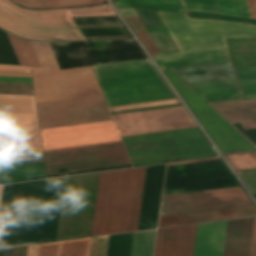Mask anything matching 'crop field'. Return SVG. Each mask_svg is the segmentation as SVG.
Listing matches in <instances>:
<instances>
[{
  "instance_id": "crop-field-11",
  "label": "crop field",
  "mask_w": 256,
  "mask_h": 256,
  "mask_svg": "<svg viewBox=\"0 0 256 256\" xmlns=\"http://www.w3.org/2000/svg\"><path fill=\"white\" fill-rule=\"evenodd\" d=\"M46 158L49 174L57 172V174L47 175V177L131 166L127 165L72 173H65L64 169H60L65 168L66 172H70L130 164L122 144L48 153L46 154ZM55 169L60 170H56L55 172Z\"/></svg>"
},
{
  "instance_id": "crop-field-45",
  "label": "crop field",
  "mask_w": 256,
  "mask_h": 256,
  "mask_svg": "<svg viewBox=\"0 0 256 256\" xmlns=\"http://www.w3.org/2000/svg\"><path fill=\"white\" fill-rule=\"evenodd\" d=\"M250 256H256V217H255V220H254Z\"/></svg>"
},
{
  "instance_id": "crop-field-4",
  "label": "crop field",
  "mask_w": 256,
  "mask_h": 256,
  "mask_svg": "<svg viewBox=\"0 0 256 256\" xmlns=\"http://www.w3.org/2000/svg\"><path fill=\"white\" fill-rule=\"evenodd\" d=\"M92 67L109 107L175 98L149 59Z\"/></svg>"
},
{
  "instance_id": "crop-field-7",
  "label": "crop field",
  "mask_w": 256,
  "mask_h": 256,
  "mask_svg": "<svg viewBox=\"0 0 256 256\" xmlns=\"http://www.w3.org/2000/svg\"><path fill=\"white\" fill-rule=\"evenodd\" d=\"M163 72L222 153L256 150L251 142L250 144L171 70Z\"/></svg>"
},
{
  "instance_id": "crop-field-48",
  "label": "crop field",
  "mask_w": 256,
  "mask_h": 256,
  "mask_svg": "<svg viewBox=\"0 0 256 256\" xmlns=\"http://www.w3.org/2000/svg\"><path fill=\"white\" fill-rule=\"evenodd\" d=\"M122 16H137L134 9H118Z\"/></svg>"
},
{
  "instance_id": "crop-field-35",
  "label": "crop field",
  "mask_w": 256,
  "mask_h": 256,
  "mask_svg": "<svg viewBox=\"0 0 256 256\" xmlns=\"http://www.w3.org/2000/svg\"><path fill=\"white\" fill-rule=\"evenodd\" d=\"M223 15L250 17L245 0H219Z\"/></svg>"
},
{
  "instance_id": "crop-field-44",
  "label": "crop field",
  "mask_w": 256,
  "mask_h": 256,
  "mask_svg": "<svg viewBox=\"0 0 256 256\" xmlns=\"http://www.w3.org/2000/svg\"><path fill=\"white\" fill-rule=\"evenodd\" d=\"M0 81L32 83L31 78H20V77H0Z\"/></svg>"
},
{
  "instance_id": "crop-field-21",
  "label": "crop field",
  "mask_w": 256,
  "mask_h": 256,
  "mask_svg": "<svg viewBox=\"0 0 256 256\" xmlns=\"http://www.w3.org/2000/svg\"><path fill=\"white\" fill-rule=\"evenodd\" d=\"M253 220L228 221L223 256H249Z\"/></svg>"
},
{
  "instance_id": "crop-field-16",
  "label": "crop field",
  "mask_w": 256,
  "mask_h": 256,
  "mask_svg": "<svg viewBox=\"0 0 256 256\" xmlns=\"http://www.w3.org/2000/svg\"><path fill=\"white\" fill-rule=\"evenodd\" d=\"M41 156L40 152L0 150V165L37 161L41 160ZM43 176H45L43 161L0 166V182Z\"/></svg>"
},
{
  "instance_id": "crop-field-20",
  "label": "crop field",
  "mask_w": 256,
  "mask_h": 256,
  "mask_svg": "<svg viewBox=\"0 0 256 256\" xmlns=\"http://www.w3.org/2000/svg\"><path fill=\"white\" fill-rule=\"evenodd\" d=\"M248 216H256L255 206L187 214V215H179V216H171V217H163V218H160L159 220L158 228L209 222V221H217V220H225V219H232V218H240V217H248Z\"/></svg>"
},
{
  "instance_id": "crop-field-32",
  "label": "crop field",
  "mask_w": 256,
  "mask_h": 256,
  "mask_svg": "<svg viewBox=\"0 0 256 256\" xmlns=\"http://www.w3.org/2000/svg\"><path fill=\"white\" fill-rule=\"evenodd\" d=\"M7 35L10 39V42L13 46V49L17 55L20 64L40 68L29 43L8 33Z\"/></svg>"
},
{
  "instance_id": "crop-field-24",
  "label": "crop field",
  "mask_w": 256,
  "mask_h": 256,
  "mask_svg": "<svg viewBox=\"0 0 256 256\" xmlns=\"http://www.w3.org/2000/svg\"><path fill=\"white\" fill-rule=\"evenodd\" d=\"M188 85L209 102L240 99L235 79Z\"/></svg>"
},
{
  "instance_id": "crop-field-37",
  "label": "crop field",
  "mask_w": 256,
  "mask_h": 256,
  "mask_svg": "<svg viewBox=\"0 0 256 256\" xmlns=\"http://www.w3.org/2000/svg\"><path fill=\"white\" fill-rule=\"evenodd\" d=\"M234 170L256 168V153L225 156Z\"/></svg>"
},
{
  "instance_id": "crop-field-33",
  "label": "crop field",
  "mask_w": 256,
  "mask_h": 256,
  "mask_svg": "<svg viewBox=\"0 0 256 256\" xmlns=\"http://www.w3.org/2000/svg\"><path fill=\"white\" fill-rule=\"evenodd\" d=\"M150 55L159 54L138 17H124Z\"/></svg>"
},
{
  "instance_id": "crop-field-5",
  "label": "crop field",
  "mask_w": 256,
  "mask_h": 256,
  "mask_svg": "<svg viewBox=\"0 0 256 256\" xmlns=\"http://www.w3.org/2000/svg\"><path fill=\"white\" fill-rule=\"evenodd\" d=\"M121 138L134 166L216 155L197 128Z\"/></svg>"
},
{
  "instance_id": "crop-field-22",
  "label": "crop field",
  "mask_w": 256,
  "mask_h": 256,
  "mask_svg": "<svg viewBox=\"0 0 256 256\" xmlns=\"http://www.w3.org/2000/svg\"><path fill=\"white\" fill-rule=\"evenodd\" d=\"M227 221L198 225L194 256H222Z\"/></svg>"
},
{
  "instance_id": "crop-field-6",
  "label": "crop field",
  "mask_w": 256,
  "mask_h": 256,
  "mask_svg": "<svg viewBox=\"0 0 256 256\" xmlns=\"http://www.w3.org/2000/svg\"><path fill=\"white\" fill-rule=\"evenodd\" d=\"M0 27L25 39L84 40L67 9L27 10L0 0Z\"/></svg>"
},
{
  "instance_id": "crop-field-46",
  "label": "crop field",
  "mask_w": 256,
  "mask_h": 256,
  "mask_svg": "<svg viewBox=\"0 0 256 256\" xmlns=\"http://www.w3.org/2000/svg\"><path fill=\"white\" fill-rule=\"evenodd\" d=\"M0 70L30 71V67H25V66H12V65H0Z\"/></svg>"
},
{
  "instance_id": "crop-field-17",
  "label": "crop field",
  "mask_w": 256,
  "mask_h": 256,
  "mask_svg": "<svg viewBox=\"0 0 256 256\" xmlns=\"http://www.w3.org/2000/svg\"><path fill=\"white\" fill-rule=\"evenodd\" d=\"M164 168L147 167L138 230L156 228Z\"/></svg>"
},
{
  "instance_id": "crop-field-23",
  "label": "crop field",
  "mask_w": 256,
  "mask_h": 256,
  "mask_svg": "<svg viewBox=\"0 0 256 256\" xmlns=\"http://www.w3.org/2000/svg\"><path fill=\"white\" fill-rule=\"evenodd\" d=\"M160 54L178 52L155 11L135 9Z\"/></svg>"
},
{
  "instance_id": "crop-field-15",
  "label": "crop field",
  "mask_w": 256,
  "mask_h": 256,
  "mask_svg": "<svg viewBox=\"0 0 256 256\" xmlns=\"http://www.w3.org/2000/svg\"><path fill=\"white\" fill-rule=\"evenodd\" d=\"M0 131L39 133L34 96L0 95Z\"/></svg>"
},
{
  "instance_id": "crop-field-18",
  "label": "crop field",
  "mask_w": 256,
  "mask_h": 256,
  "mask_svg": "<svg viewBox=\"0 0 256 256\" xmlns=\"http://www.w3.org/2000/svg\"><path fill=\"white\" fill-rule=\"evenodd\" d=\"M197 225L158 230L154 256H193Z\"/></svg>"
},
{
  "instance_id": "crop-field-31",
  "label": "crop field",
  "mask_w": 256,
  "mask_h": 256,
  "mask_svg": "<svg viewBox=\"0 0 256 256\" xmlns=\"http://www.w3.org/2000/svg\"><path fill=\"white\" fill-rule=\"evenodd\" d=\"M29 43L43 72L60 70L48 43Z\"/></svg>"
},
{
  "instance_id": "crop-field-49",
  "label": "crop field",
  "mask_w": 256,
  "mask_h": 256,
  "mask_svg": "<svg viewBox=\"0 0 256 256\" xmlns=\"http://www.w3.org/2000/svg\"><path fill=\"white\" fill-rule=\"evenodd\" d=\"M38 245L28 246L27 256H37Z\"/></svg>"
},
{
  "instance_id": "crop-field-36",
  "label": "crop field",
  "mask_w": 256,
  "mask_h": 256,
  "mask_svg": "<svg viewBox=\"0 0 256 256\" xmlns=\"http://www.w3.org/2000/svg\"><path fill=\"white\" fill-rule=\"evenodd\" d=\"M72 17L116 16L109 5L68 9Z\"/></svg>"
},
{
  "instance_id": "crop-field-13",
  "label": "crop field",
  "mask_w": 256,
  "mask_h": 256,
  "mask_svg": "<svg viewBox=\"0 0 256 256\" xmlns=\"http://www.w3.org/2000/svg\"><path fill=\"white\" fill-rule=\"evenodd\" d=\"M120 136L195 127L182 106L112 115Z\"/></svg>"
},
{
  "instance_id": "crop-field-53",
  "label": "crop field",
  "mask_w": 256,
  "mask_h": 256,
  "mask_svg": "<svg viewBox=\"0 0 256 256\" xmlns=\"http://www.w3.org/2000/svg\"><path fill=\"white\" fill-rule=\"evenodd\" d=\"M0 189H1V186H0Z\"/></svg>"
},
{
  "instance_id": "crop-field-47",
  "label": "crop field",
  "mask_w": 256,
  "mask_h": 256,
  "mask_svg": "<svg viewBox=\"0 0 256 256\" xmlns=\"http://www.w3.org/2000/svg\"><path fill=\"white\" fill-rule=\"evenodd\" d=\"M247 4L250 10L252 18H256V0H247Z\"/></svg>"
},
{
  "instance_id": "crop-field-30",
  "label": "crop field",
  "mask_w": 256,
  "mask_h": 256,
  "mask_svg": "<svg viewBox=\"0 0 256 256\" xmlns=\"http://www.w3.org/2000/svg\"><path fill=\"white\" fill-rule=\"evenodd\" d=\"M242 98H256V67L235 69Z\"/></svg>"
},
{
  "instance_id": "crop-field-43",
  "label": "crop field",
  "mask_w": 256,
  "mask_h": 256,
  "mask_svg": "<svg viewBox=\"0 0 256 256\" xmlns=\"http://www.w3.org/2000/svg\"><path fill=\"white\" fill-rule=\"evenodd\" d=\"M119 143H122V142L118 141V142H110V143H102V144H95V145L71 147V148H64V149L48 150V151H44V153L55 152V151H63V150H71V149H79V148H87V147H95V146H103V145H111V144H119Z\"/></svg>"
},
{
  "instance_id": "crop-field-34",
  "label": "crop field",
  "mask_w": 256,
  "mask_h": 256,
  "mask_svg": "<svg viewBox=\"0 0 256 256\" xmlns=\"http://www.w3.org/2000/svg\"><path fill=\"white\" fill-rule=\"evenodd\" d=\"M187 12L219 13L218 0H181Z\"/></svg>"
},
{
  "instance_id": "crop-field-27",
  "label": "crop field",
  "mask_w": 256,
  "mask_h": 256,
  "mask_svg": "<svg viewBox=\"0 0 256 256\" xmlns=\"http://www.w3.org/2000/svg\"><path fill=\"white\" fill-rule=\"evenodd\" d=\"M14 3L32 9L80 7L103 3L105 0H12Z\"/></svg>"
},
{
  "instance_id": "crop-field-52",
  "label": "crop field",
  "mask_w": 256,
  "mask_h": 256,
  "mask_svg": "<svg viewBox=\"0 0 256 256\" xmlns=\"http://www.w3.org/2000/svg\"><path fill=\"white\" fill-rule=\"evenodd\" d=\"M256 197V195H254Z\"/></svg>"
},
{
  "instance_id": "crop-field-2",
  "label": "crop field",
  "mask_w": 256,
  "mask_h": 256,
  "mask_svg": "<svg viewBox=\"0 0 256 256\" xmlns=\"http://www.w3.org/2000/svg\"><path fill=\"white\" fill-rule=\"evenodd\" d=\"M180 53L155 55L161 70L231 62L225 38L256 37V25L188 19L186 13L156 11Z\"/></svg>"
},
{
  "instance_id": "crop-field-25",
  "label": "crop field",
  "mask_w": 256,
  "mask_h": 256,
  "mask_svg": "<svg viewBox=\"0 0 256 256\" xmlns=\"http://www.w3.org/2000/svg\"><path fill=\"white\" fill-rule=\"evenodd\" d=\"M90 238L39 245L38 256H88Z\"/></svg>"
},
{
  "instance_id": "crop-field-50",
  "label": "crop field",
  "mask_w": 256,
  "mask_h": 256,
  "mask_svg": "<svg viewBox=\"0 0 256 256\" xmlns=\"http://www.w3.org/2000/svg\"><path fill=\"white\" fill-rule=\"evenodd\" d=\"M220 158H213V159H205V160H197V161H189V162H181V163H173V164H167V166L170 165H178V164H186V163H193V162H201V161H209V160H217Z\"/></svg>"
},
{
  "instance_id": "crop-field-1",
  "label": "crop field",
  "mask_w": 256,
  "mask_h": 256,
  "mask_svg": "<svg viewBox=\"0 0 256 256\" xmlns=\"http://www.w3.org/2000/svg\"><path fill=\"white\" fill-rule=\"evenodd\" d=\"M64 180L3 185L0 248L55 241Z\"/></svg>"
},
{
  "instance_id": "crop-field-10",
  "label": "crop field",
  "mask_w": 256,
  "mask_h": 256,
  "mask_svg": "<svg viewBox=\"0 0 256 256\" xmlns=\"http://www.w3.org/2000/svg\"><path fill=\"white\" fill-rule=\"evenodd\" d=\"M41 129L112 120L102 95L37 104Z\"/></svg>"
},
{
  "instance_id": "crop-field-3",
  "label": "crop field",
  "mask_w": 256,
  "mask_h": 256,
  "mask_svg": "<svg viewBox=\"0 0 256 256\" xmlns=\"http://www.w3.org/2000/svg\"><path fill=\"white\" fill-rule=\"evenodd\" d=\"M145 170L100 173L90 237L137 230Z\"/></svg>"
},
{
  "instance_id": "crop-field-8",
  "label": "crop field",
  "mask_w": 256,
  "mask_h": 256,
  "mask_svg": "<svg viewBox=\"0 0 256 256\" xmlns=\"http://www.w3.org/2000/svg\"><path fill=\"white\" fill-rule=\"evenodd\" d=\"M221 160L167 167L163 196L236 187Z\"/></svg>"
},
{
  "instance_id": "crop-field-42",
  "label": "crop field",
  "mask_w": 256,
  "mask_h": 256,
  "mask_svg": "<svg viewBox=\"0 0 256 256\" xmlns=\"http://www.w3.org/2000/svg\"><path fill=\"white\" fill-rule=\"evenodd\" d=\"M26 249H27V246L6 249L3 252V256H26Z\"/></svg>"
},
{
  "instance_id": "crop-field-38",
  "label": "crop field",
  "mask_w": 256,
  "mask_h": 256,
  "mask_svg": "<svg viewBox=\"0 0 256 256\" xmlns=\"http://www.w3.org/2000/svg\"><path fill=\"white\" fill-rule=\"evenodd\" d=\"M109 236L91 238L89 256H106Z\"/></svg>"
},
{
  "instance_id": "crop-field-14",
  "label": "crop field",
  "mask_w": 256,
  "mask_h": 256,
  "mask_svg": "<svg viewBox=\"0 0 256 256\" xmlns=\"http://www.w3.org/2000/svg\"><path fill=\"white\" fill-rule=\"evenodd\" d=\"M44 150L121 140L112 121L41 130Z\"/></svg>"
},
{
  "instance_id": "crop-field-51",
  "label": "crop field",
  "mask_w": 256,
  "mask_h": 256,
  "mask_svg": "<svg viewBox=\"0 0 256 256\" xmlns=\"http://www.w3.org/2000/svg\"><path fill=\"white\" fill-rule=\"evenodd\" d=\"M2 252H3V250H0V256H2Z\"/></svg>"
},
{
  "instance_id": "crop-field-40",
  "label": "crop field",
  "mask_w": 256,
  "mask_h": 256,
  "mask_svg": "<svg viewBox=\"0 0 256 256\" xmlns=\"http://www.w3.org/2000/svg\"><path fill=\"white\" fill-rule=\"evenodd\" d=\"M77 24L121 23L117 17L74 18Z\"/></svg>"
},
{
  "instance_id": "crop-field-19",
  "label": "crop field",
  "mask_w": 256,
  "mask_h": 256,
  "mask_svg": "<svg viewBox=\"0 0 256 256\" xmlns=\"http://www.w3.org/2000/svg\"><path fill=\"white\" fill-rule=\"evenodd\" d=\"M156 230L134 233L131 256H152ZM132 233L110 236L107 256H129Z\"/></svg>"
},
{
  "instance_id": "crop-field-41",
  "label": "crop field",
  "mask_w": 256,
  "mask_h": 256,
  "mask_svg": "<svg viewBox=\"0 0 256 256\" xmlns=\"http://www.w3.org/2000/svg\"><path fill=\"white\" fill-rule=\"evenodd\" d=\"M237 129H239L249 140H251L256 145V123H246L243 124L245 129L252 130H244L241 124L234 125Z\"/></svg>"
},
{
  "instance_id": "crop-field-12",
  "label": "crop field",
  "mask_w": 256,
  "mask_h": 256,
  "mask_svg": "<svg viewBox=\"0 0 256 256\" xmlns=\"http://www.w3.org/2000/svg\"><path fill=\"white\" fill-rule=\"evenodd\" d=\"M251 205L240 187L166 196L162 199L160 217Z\"/></svg>"
},
{
  "instance_id": "crop-field-26",
  "label": "crop field",
  "mask_w": 256,
  "mask_h": 256,
  "mask_svg": "<svg viewBox=\"0 0 256 256\" xmlns=\"http://www.w3.org/2000/svg\"><path fill=\"white\" fill-rule=\"evenodd\" d=\"M227 40L235 68L256 66V38Z\"/></svg>"
},
{
  "instance_id": "crop-field-29",
  "label": "crop field",
  "mask_w": 256,
  "mask_h": 256,
  "mask_svg": "<svg viewBox=\"0 0 256 256\" xmlns=\"http://www.w3.org/2000/svg\"><path fill=\"white\" fill-rule=\"evenodd\" d=\"M113 3L116 7H140L184 11L179 0H116Z\"/></svg>"
},
{
  "instance_id": "crop-field-28",
  "label": "crop field",
  "mask_w": 256,
  "mask_h": 256,
  "mask_svg": "<svg viewBox=\"0 0 256 256\" xmlns=\"http://www.w3.org/2000/svg\"><path fill=\"white\" fill-rule=\"evenodd\" d=\"M0 147L41 149L39 134L0 132Z\"/></svg>"
},
{
  "instance_id": "crop-field-9",
  "label": "crop field",
  "mask_w": 256,
  "mask_h": 256,
  "mask_svg": "<svg viewBox=\"0 0 256 256\" xmlns=\"http://www.w3.org/2000/svg\"><path fill=\"white\" fill-rule=\"evenodd\" d=\"M36 102L102 94L90 67L33 74Z\"/></svg>"
},
{
  "instance_id": "crop-field-39",
  "label": "crop field",
  "mask_w": 256,
  "mask_h": 256,
  "mask_svg": "<svg viewBox=\"0 0 256 256\" xmlns=\"http://www.w3.org/2000/svg\"><path fill=\"white\" fill-rule=\"evenodd\" d=\"M176 103H178L177 99H173V100H165V101L150 102V103H143V104L112 107L109 109L111 112H114V111L130 110V109L153 107V106H160V105L176 104Z\"/></svg>"
}]
</instances>
